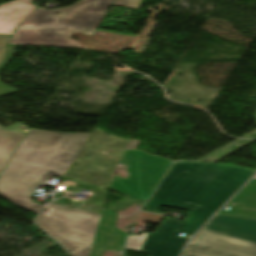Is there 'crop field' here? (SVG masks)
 I'll list each match as a JSON object with an SVG mask.
<instances>
[{
	"mask_svg": "<svg viewBox=\"0 0 256 256\" xmlns=\"http://www.w3.org/2000/svg\"><path fill=\"white\" fill-rule=\"evenodd\" d=\"M143 0H116L113 5L138 10Z\"/></svg>",
	"mask_w": 256,
	"mask_h": 256,
	"instance_id": "cbeb9de0",
	"label": "crop field"
},
{
	"mask_svg": "<svg viewBox=\"0 0 256 256\" xmlns=\"http://www.w3.org/2000/svg\"><path fill=\"white\" fill-rule=\"evenodd\" d=\"M116 213L104 210L90 256H102L106 249L122 250L126 233L115 228Z\"/></svg>",
	"mask_w": 256,
	"mask_h": 256,
	"instance_id": "d8731c3e",
	"label": "crop field"
},
{
	"mask_svg": "<svg viewBox=\"0 0 256 256\" xmlns=\"http://www.w3.org/2000/svg\"><path fill=\"white\" fill-rule=\"evenodd\" d=\"M183 256H256V243L201 230Z\"/></svg>",
	"mask_w": 256,
	"mask_h": 256,
	"instance_id": "dd49c442",
	"label": "crop field"
},
{
	"mask_svg": "<svg viewBox=\"0 0 256 256\" xmlns=\"http://www.w3.org/2000/svg\"><path fill=\"white\" fill-rule=\"evenodd\" d=\"M12 36L0 35V71L8 65L16 46L8 45ZM17 92L0 82V96Z\"/></svg>",
	"mask_w": 256,
	"mask_h": 256,
	"instance_id": "22f410ed",
	"label": "crop field"
},
{
	"mask_svg": "<svg viewBox=\"0 0 256 256\" xmlns=\"http://www.w3.org/2000/svg\"><path fill=\"white\" fill-rule=\"evenodd\" d=\"M129 166L126 179L114 176L110 188L140 201H147L169 168L171 160L138 150H125L118 161Z\"/></svg>",
	"mask_w": 256,
	"mask_h": 256,
	"instance_id": "f4fd0767",
	"label": "crop field"
},
{
	"mask_svg": "<svg viewBox=\"0 0 256 256\" xmlns=\"http://www.w3.org/2000/svg\"><path fill=\"white\" fill-rule=\"evenodd\" d=\"M182 224L166 218L156 233H149L141 251L151 254L150 256H178L188 239L177 237Z\"/></svg>",
	"mask_w": 256,
	"mask_h": 256,
	"instance_id": "e52e79f7",
	"label": "crop field"
},
{
	"mask_svg": "<svg viewBox=\"0 0 256 256\" xmlns=\"http://www.w3.org/2000/svg\"><path fill=\"white\" fill-rule=\"evenodd\" d=\"M114 1L81 0L52 11L35 8L17 26L9 44L83 48L68 40V34L72 31L93 34ZM55 12L62 14L57 16Z\"/></svg>",
	"mask_w": 256,
	"mask_h": 256,
	"instance_id": "34b2d1b8",
	"label": "crop field"
},
{
	"mask_svg": "<svg viewBox=\"0 0 256 256\" xmlns=\"http://www.w3.org/2000/svg\"><path fill=\"white\" fill-rule=\"evenodd\" d=\"M89 134L30 129L0 175V195L38 213L31 194L52 176H64Z\"/></svg>",
	"mask_w": 256,
	"mask_h": 256,
	"instance_id": "ac0d7876",
	"label": "crop field"
},
{
	"mask_svg": "<svg viewBox=\"0 0 256 256\" xmlns=\"http://www.w3.org/2000/svg\"><path fill=\"white\" fill-rule=\"evenodd\" d=\"M254 116H255V120H256V115L254 114Z\"/></svg>",
	"mask_w": 256,
	"mask_h": 256,
	"instance_id": "5142ce71",
	"label": "crop field"
},
{
	"mask_svg": "<svg viewBox=\"0 0 256 256\" xmlns=\"http://www.w3.org/2000/svg\"><path fill=\"white\" fill-rule=\"evenodd\" d=\"M203 230L256 242V221L216 216Z\"/></svg>",
	"mask_w": 256,
	"mask_h": 256,
	"instance_id": "5a996713",
	"label": "crop field"
},
{
	"mask_svg": "<svg viewBox=\"0 0 256 256\" xmlns=\"http://www.w3.org/2000/svg\"><path fill=\"white\" fill-rule=\"evenodd\" d=\"M254 172L229 164L174 162L144 208L192 210L181 231L191 236Z\"/></svg>",
	"mask_w": 256,
	"mask_h": 256,
	"instance_id": "8a807250",
	"label": "crop field"
},
{
	"mask_svg": "<svg viewBox=\"0 0 256 256\" xmlns=\"http://www.w3.org/2000/svg\"><path fill=\"white\" fill-rule=\"evenodd\" d=\"M21 124H14L4 130L0 129V174L8 163L9 159L29 131L18 128Z\"/></svg>",
	"mask_w": 256,
	"mask_h": 256,
	"instance_id": "d1516ede",
	"label": "crop field"
},
{
	"mask_svg": "<svg viewBox=\"0 0 256 256\" xmlns=\"http://www.w3.org/2000/svg\"><path fill=\"white\" fill-rule=\"evenodd\" d=\"M254 178H256V176Z\"/></svg>",
	"mask_w": 256,
	"mask_h": 256,
	"instance_id": "d9b57169",
	"label": "crop field"
},
{
	"mask_svg": "<svg viewBox=\"0 0 256 256\" xmlns=\"http://www.w3.org/2000/svg\"><path fill=\"white\" fill-rule=\"evenodd\" d=\"M226 205L229 211L221 210L220 214L256 218V179H252Z\"/></svg>",
	"mask_w": 256,
	"mask_h": 256,
	"instance_id": "28ad6ade",
	"label": "crop field"
},
{
	"mask_svg": "<svg viewBox=\"0 0 256 256\" xmlns=\"http://www.w3.org/2000/svg\"><path fill=\"white\" fill-rule=\"evenodd\" d=\"M100 217L80 209H66L50 203L44 207L36 221L74 256H89ZM89 221L91 224H88Z\"/></svg>",
	"mask_w": 256,
	"mask_h": 256,
	"instance_id": "412701ff",
	"label": "crop field"
},
{
	"mask_svg": "<svg viewBox=\"0 0 256 256\" xmlns=\"http://www.w3.org/2000/svg\"><path fill=\"white\" fill-rule=\"evenodd\" d=\"M35 8L29 0L0 5V33L12 35L16 26Z\"/></svg>",
	"mask_w": 256,
	"mask_h": 256,
	"instance_id": "3316defc",
	"label": "crop field"
}]
</instances>
